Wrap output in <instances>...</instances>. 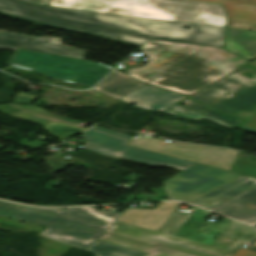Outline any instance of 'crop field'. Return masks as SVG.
<instances>
[{
    "label": "crop field",
    "mask_w": 256,
    "mask_h": 256,
    "mask_svg": "<svg viewBox=\"0 0 256 256\" xmlns=\"http://www.w3.org/2000/svg\"><path fill=\"white\" fill-rule=\"evenodd\" d=\"M0 14L138 47L152 39L223 47L226 35L222 27L59 9L19 0H0Z\"/></svg>",
    "instance_id": "crop-field-1"
},
{
    "label": "crop field",
    "mask_w": 256,
    "mask_h": 256,
    "mask_svg": "<svg viewBox=\"0 0 256 256\" xmlns=\"http://www.w3.org/2000/svg\"><path fill=\"white\" fill-rule=\"evenodd\" d=\"M139 50L149 62L130 73L143 82L190 95L248 60L221 48L152 40ZM162 77L160 80L153 78Z\"/></svg>",
    "instance_id": "crop-field-2"
},
{
    "label": "crop field",
    "mask_w": 256,
    "mask_h": 256,
    "mask_svg": "<svg viewBox=\"0 0 256 256\" xmlns=\"http://www.w3.org/2000/svg\"><path fill=\"white\" fill-rule=\"evenodd\" d=\"M96 207L41 209L0 201V216L46 225L40 236L87 249L117 220L120 212H104Z\"/></svg>",
    "instance_id": "crop-field-3"
},
{
    "label": "crop field",
    "mask_w": 256,
    "mask_h": 256,
    "mask_svg": "<svg viewBox=\"0 0 256 256\" xmlns=\"http://www.w3.org/2000/svg\"><path fill=\"white\" fill-rule=\"evenodd\" d=\"M48 6L225 27L221 5L186 0H51Z\"/></svg>",
    "instance_id": "crop-field-4"
},
{
    "label": "crop field",
    "mask_w": 256,
    "mask_h": 256,
    "mask_svg": "<svg viewBox=\"0 0 256 256\" xmlns=\"http://www.w3.org/2000/svg\"><path fill=\"white\" fill-rule=\"evenodd\" d=\"M245 72L252 78L241 75ZM225 92L230 95H223ZM190 98L245 120L236 127L256 133V71L243 66Z\"/></svg>",
    "instance_id": "crop-field-5"
},
{
    "label": "crop field",
    "mask_w": 256,
    "mask_h": 256,
    "mask_svg": "<svg viewBox=\"0 0 256 256\" xmlns=\"http://www.w3.org/2000/svg\"><path fill=\"white\" fill-rule=\"evenodd\" d=\"M9 64L34 70L52 78L67 80L89 87L113 69L109 66L89 61L19 49L12 55Z\"/></svg>",
    "instance_id": "crop-field-6"
},
{
    "label": "crop field",
    "mask_w": 256,
    "mask_h": 256,
    "mask_svg": "<svg viewBox=\"0 0 256 256\" xmlns=\"http://www.w3.org/2000/svg\"><path fill=\"white\" fill-rule=\"evenodd\" d=\"M81 138L87 140L82 149L150 165L152 167L162 165L182 171L195 163L127 146L126 144L132 137L114 133L96 126L85 132Z\"/></svg>",
    "instance_id": "crop-field-7"
},
{
    "label": "crop field",
    "mask_w": 256,
    "mask_h": 256,
    "mask_svg": "<svg viewBox=\"0 0 256 256\" xmlns=\"http://www.w3.org/2000/svg\"><path fill=\"white\" fill-rule=\"evenodd\" d=\"M142 136L134 137L127 145L199 162L228 171L238 152L235 150H218L216 148L180 142L168 143L163 140Z\"/></svg>",
    "instance_id": "crop-field-8"
},
{
    "label": "crop field",
    "mask_w": 256,
    "mask_h": 256,
    "mask_svg": "<svg viewBox=\"0 0 256 256\" xmlns=\"http://www.w3.org/2000/svg\"><path fill=\"white\" fill-rule=\"evenodd\" d=\"M106 233L146 244H157L205 256H232L234 252L116 221Z\"/></svg>",
    "instance_id": "crop-field-9"
},
{
    "label": "crop field",
    "mask_w": 256,
    "mask_h": 256,
    "mask_svg": "<svg viewBox=\"0 0 256 256\" xmlns=\"http://www.w3.org/2000/svg\"><path fill=\"white\" fill-rule=\"evenodd\" d=\"M62 39L55 37H33L24 34L0 33V48L24 49L84 60L87 51L59 45Z\"/></svg>",
    "instance_id": "crop-field-10"
},
{
    "label": "crop field",
    "mask_w": 256,
    "mask_h": 256,
    "mask_svg": "<svg viewBox=\"0 0 256 256\" xmlns=\"http://www.w3.org/2000/svg\"><path fill=\"white\" fill-rule=\"evenodd\" d=\"M186 97L147 84L120 99L158 113Z\"/></svg>",
    "instance_id": "crop-field-11"
},
{
    "label": "crop field",
    "mask_w": 256,
    "mask_h": 256,
    "mask_svg": "<svg viewBox=\"0 0 256 256\" xmlns=\"http://www.w3.org/2000/svg\"><path fill=\"white\" fill-rule=\"evenodd\" d=\"M223 170L196 163L172 178L162 182L169 197L175 198L213 178Z\"/></svg>",
    "instance_id": "crop-field-12"
},
{
    "label": "crop field",
    "mask_w": 256,
    "mask_h": 256,
    "mask_svg": "<svg viewBox=\"0 0 256 256\" xmlns=\"http://www.w3.org/2000/svg\"><path fill=\"white\" fill-rule=\"evenodd\" d=\"M181 203L160 202L155 210L126 209L118 220L158 231Z\"/></svg>",
    "instance_id": "crop-field-13"
},
{
    "label": "crop field",
    "mask_w": 256,
    "mask_h": 256,
    "mask_svg": "<svg viewBox=\"0 0 256 256\" xmlns=\"http://www.w3.org/2000/svg\"><path fill=\"white\" fill-rule=\"evenodd\" d=\"M209 210L244 222H256V186Z\"/></svg>",
    "instance_id": "crop-field-14"
},
{
    "label": "crop field",
    "mask_w": 256,
    "mask_h": 256,
    "mask_svg": "<svg viewBox=\"0 0 256 256\" xmlns=\"http://www.w3.org/2000/svg\"><path fill=\"white\" fill-rule=\"evenodd\" d=\"M223 4L227 10L228 27L256 31V0H195Z\"/></svg>",
    "instance_id": "crop-field-15"
},
{
    "label": "crop field",
    "mask_w": 256,
    "mask_h": 256,
    "mask_svg": "<svg viewBox=\"0 0 256 256\" xmlns=\"http://www.w3.org/2000/svg\"><path fill=\"white\" fill-rule=\"evenodd\" d=\"M254 185L256 178L243 175L191 203L209 209Z\"/></svg>",
    "instance_id": "crop-field-16"
},
{
    "label": "crop field",
    "mask_w": 256,
    "mask_h": 256,
    "mask_svg": "<svg viewBox=\"0 0 256 256\" xmlns=\"http://www.w3.org/2000/svg\"><path fill=\"white\" fill-rule=\"evenodd\" d=\"M143 85L145 83L115 70L93 89L118 99Z\"/></svg>",
    "instance_id": "crop-field-17"
},
{
    "label": "crop field",
    "mask_w": 256,
    "mask_h": 256,
    "mask_svg": "<svg viewBox=\"0 0 256 256\" xmlns=\"http://www.w3.org/2000/svg\"><path fill=\"white\" fill-rule=\"evenodd\" d=\"M99 240L147 253L144 256H201L160 245L154 247L106 233H104Z\"/></svg>",
    "instance_id": "crop-field-18"
},
{
    "label": "crop field",
    "mask_w": 256,
    "mask_h": 256,
    "mask_svg": "<svg viewBox=\"0 0 256 256\" xmlns=\"http://www.w3.org/2000/svg\"><path fill=\"white\" fill-rule=\"evenodd\" d=\"M225 49L250 60L256 58V32L228 28Z\"/></svg>",
    "instance_id": "crop-field-19"
},
{
    "label": "crop field",
    "mask_w": 256,
    "mask_h": 256,
    "mask_svg": "<svg viewBox=\"0 0 256 256\" xmlns=\"http://www.w3.org/2000/svg\"><path fill=\"white\" fill-rule=\"evenodd\" d=\"M21 112L10 113L13 117L28 120L31 122L38 123L40 125H44L51 120H56L64 123H69L77 126L84 127L87 122H81L77 120H72L60 116H55L50 114L49 112L33 105H22V104H7Z\"/></svg>",
    "instance_id": "crop-field-20"
},
{
    "label": "crop field",
    "mask_w": 256,
    "mask_h": 256,
    "mask_svg": "<svg viewBox=\"0 0 256 256\" xmlns=\"http://www.w3.org/2000/svg\"><path fill=\"white\" fill-rule=\"evenodd\" d=\"M239 176H241V174L225 171L175 200L191 202Z\"/></svg>",
    "instance_id": "crop-field-21"
},
{
    "label": "crop field",
    "mask_w": 256,
    "mask_h": 256,
    "mask_svg": "<svg viewBox=\"0 0 256 256\" xmlns=\"http://www.w3.org/2000/svg\"><path fill=\"white\" fill-rule=\"evenodd\" d=\"M184 104L193 110H196L198 112H201L203 114H206L208 116L216 118L218 120H221V121L231 124L233 126H235L243 121L238 118L232 117L224 112H221L211 106H208L206 104L200 103L195 100H192L190 98L184 100Z\"/></svg>",
    "instance_id": "crop-field-22"
},
{
    "label": "crop field",
    "mask_w": 256,
    "mask_h": 256,
    "mask_svg": "<svg viewBox=\"0 0 256 256\" xmlns=\"http://www.w3.org/2000/svg\"><path fill=\"white\" fill-rule=\"evenodd\" d=\"M256 241V231L249 225H245L233 240L228 250L236 252L233 256H256L255 251L236 248L241 242L252 245Z\"/></svg>",
    "instance_id": "crop-field-23"
},
{
    "label": "crop field",
    "mask_w": 256,
    "mask_h": 256,
    "mask_svg": "<svg viewBox=\"0 0 256 256\" xmlns=\"http://www.w3.org/2000/svg\"><path fill=\"white\" fill-rule=\"evenodd\" d=\"M87 251L95 256H143L144 253L97 241Z\"/></svg>",
    "instance_id": "crop-field-24"
},
{
    "label": "crop field",
    "mask_w": 256,
    "mask_h": 256,
    "mask_svg": "<svg viewBox=\"0 0 256 256\" xmlns=\"http://www.w3.org/2000/svg\"><path fill=\"white\" fill-rule=\"evenodd\" d=\"M243 226L244 225L239 222L230 220L222 232L215 239V241L212 243V245L227 249L229 244L232 242V240Z\"/></svg>",
    "instance_id": "crop-field-25"
},
{
    "label": "crop field",
    "mask_w": 256,
    "mask_h": 256,
    "mask_svg": "<svg viewBox=\"0 0 256 256\" xmlns=\"http://www.w3.org/2000/svg\"><path fill=\"white\" fill-rule=\"evenodd\" d=\"M45 131L55 134L58 139H63L65 137H70L79 133L80 131L86 130V128H81L69 124H64L56 121H51L50 123L44 125Z\"/></svg>",
    "instance_id": "crop-field-26"
},
{
    "label": "crop field",
    "mask_w": 256,
    "mask_h": 256,
    "mask_svg": "<svg viewBox=\"0 0 256 256\" xmlns=\"http://www.w3.org/2000/svg\"><path fill=\"white\" fill-rule=\"evenodd\" d=\"M196 209L197 208L194 207L188 214L175 211L174 214L170 217V219L163 225V227L159 231L175 235L176 232L180 229V227L185 223V221Z\"/></svg>",
    "instance_id": "crop-field-27"
},
{
    "label": "crop field",
    "mask_w": 256,
    "mask_h": 256,
    "mask_svg": "<svg viewBox=\"0 0 256 256\" xmlns=\"http://www.w3.org/2000/svg\"><path fill=\"white\" fill-rule=\"evenodd\" d=\"M163 112H167L171 115H174V116L180 117V118H184V119L192 118V119H195V120H199L201 118H206V119H209L211 121L217 122L219 124L225 125L227 127L233 128L232 126H229L227 124H224V123H221V122L216 121L214 119H211V118H209L205 115H202L198 112L191 111V110L187 109L185 106L178 105V104H175V105L169 107L168 109L164 110Z\"/></svg>",
    "instance_id": "crop-field-28"
},
{
    "label": "crop field",
    "mask_w": 256,
    "mask_h": 256,
    "mask_svg": "<svg viewBox=\"0 0 256 256\" xmlns=\"http://www.w3.org/2000/svg\"><path fill=\"white\" fill-rule=\"evenodd\" d=\"M43 160L48 164L50 168H53L55 172L60 171L65 167V159L63 156L44 158Z\"/></svg>",
    "instance_id": "crop-field-29"
},
{
    "label": "crop field",
    "mask_w": 256,
    "mask_h": 256,
    "mask_svg": "<svg viewBox=\"0 0 256 256\" xmlns=\"http://www.w3.org/2000/svg\"><path fill=\"white\" fill-rule=\"evenodd\" d=\"M40 145H48L40 140H37V141H34V142H31V143H28L26 145H23V146H26V147H29V148H32V147H35V146H40Z\"/></svg>",
    "instance_id": "crop-field-30"
},
{
    "label": "crop field",
    "mask_w": 256,
    "mask_h": 256,
    "mask_svg": "<svg viewBox=\"0 0 256 256\" xmlns=\"http://www.w3.org/2000/svg\"><path fill=\"white\" fill-rule=\"evenodd\" d=\"M24 1L32 2L40 5H46L48 2V0H24Z\"/></svg>",
    "instance_id": "crop-field-31"
},
{
    "label": "crop field",
    "mask_w": 256,
    "mask_h": 256,
    "mask_svg": "<svg viewBox=\"0 0 256 256\" xmlns=\"http://www.w3.org/2000/svg\"><path fill=\"white\" fill-rule=\"evenodd\" d=\"M0 32H2V31H0Z\"/></svg>",
    "instance_id": "crop-field-32"
}]
</instances>
